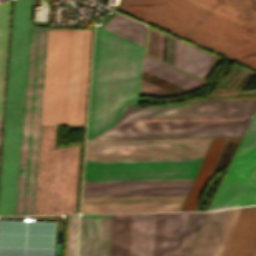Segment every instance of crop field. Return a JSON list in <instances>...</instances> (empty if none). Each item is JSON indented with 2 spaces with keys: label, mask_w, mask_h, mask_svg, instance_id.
<instances>
[{
  "label": "crop field",
  "mask_w": 256,
  "mask_h": 256,
  "mask_svg": "<svg viewBox=\"0 0 256 256\" xmlns=\"http://www.w3.org/2000/svg\"><path fill=\"white\" fill-rule=\"evenodd\" d=\"M256 204V111L210 210Z\"/></svg>",
  "instance_id": "3316defc"
},
{
  "label": "crop field",
  "mask_w": 256,
  "mask_h": 256,
  "mask_svg": "<svg viewBox=\"0 0 256 256\" xmlns=\"http://www.w3.org/2000/svg\"><path fill=\"white\" fill-rule=\"evenodd\" d=\"M227 139L228 138H214L213 139V141L207 151V154L203 160V163L200 167V170H199L180 210H192L193 209L199 195L203 191L204 187L206 186V184L212 174V171L217 163V160L223 150V147H224Z\"/></svg>",
  "instance_id": "d9b57169"
},
{
  "label": "crop field",
  "mask_w": 256,
  "mask_h": 256,
  "mask_svg": "<svg viewBox=\"0 0 256 256\" xmlns=\"http://www.w3.org/2000/svg\"><path fill=\"white\" fill-rule=\"evenodd\" d=\"M78 215H69L66 256H75Z\"/></svg>",
  "instance_id": "dafd665d"
},
{
  "label": "crop field",
  "mask_w": 256,
  "mask_h": 256,
  "mask_svg": "<svg viewBox=\"0 0 256 256\" xmlns=\"http://www.w3.org/2000/svg\"><path fill=\"white\" fill-rule=\"evenodd\" d=\"M54 129L41 123L34 214L74 213L79 146L53 150Z\"/></svg>",
  "instance_id": "e52e79f7"
},
{
  "label": "crop field",
  "mask_w": 256,
  "mask_h": 256,
  "mask_svg": "<svg viewBox=\"0 0 256 256\" xmlns=\"http://www.w3.org/2000/svg\"><path fill=\"white\" fill-rule=\"evenodd\" d=\"M143 47L96 26L87 139L139 102Z\"/></svg>",
  "instance_id": "34b2d1b8"
},
{
  "label": "crop field",
  "mask_w": 256,
  "mask_h": 256,
  "mask_svg": "<svg viewBox=\"0 0 256 256\" xmlns=\"http://www.w3.org/2000/svg\"><path fill=\"white\" fill-rule=\"evenodd\" d=\"M120 10L256 70V0H124Z\"/></svg>",
  "instance_id": "8a807250"
},
{
  "label": "crop field",
  "mask_w": 256,
  "mask_h": 256,
  "mask_svg": "<svg viewBox=\"0 0 256 256\" xmlns=\"http://www.w3.org/2000/svg\"><path fill=\"white\" fill-rule=\"evenodd\" d=\"M142 68L171 82L194 91L200 80L143 55Z\"/></svg>",
  "instance_id": "bc2a9ffb"
},
{
  "label": "crop field",
  "mask_w": 256,
  "mask_h": 256,
  "mask_svg": "<svg viewBox=\"0 0 256 256\" xmlns=\"http://www.w3.org/2000/svg\"><path fill=\"white\" fill-rule=\"evenodd\" d=\"M191 180L84 182L82 197L185 195Z\"/></svg>",
  "instance_id": "22f410ed"
},
{
  "label": "crop field",
  "mask_w": 256,
  "mask_h": 256,
  "mask_svg": "<svg viewBox=\"0 0 256 256\" xmlns=\"http://www.w3.org/2000/svg\"><path fill=\"white\" fill-rule=\"evenodd\" d=\"M103 28L143 46L145 26L133 19L116 13Z\"/></svg>",
  "instance_id": "92a150f3"
},
{
  "label": "crop field",
  "mask_w": 256,
  "mask_h": 256,
  "mask_svg": "<svg viewBox=\"0 0 256 256\" xmlns=\"http://www.w3.org/2000/svg\"><path fill=\"white\" fill-rule=\"evenodd\" d=\"M184 197L82 198L81 213L178 211Z\"/></svg>",
  "instance_id": "cbeb9de0"
},
{
  "label": "crop field",
  "mask_w": 256,
  "mask_h": 256,
  "mask_svg": "<svg viewBox=\"0 0 256 256\" xmlns=\"http://www.w3.org/2000/svg\"><path fill=\"white\" fill-rule=\"evenodd\" d=\"M46 35L30 29L15 214H33Z\"/></svg>",
  "instance_id": "dd49c442"
},
{
  "label": "crop field",
  "mask_w": 256,
  "mask_h": 256,
  "mask_svg": "<svg viewBox=\"0 0 256 256\" xmlns=\"http://www.w3.org/2000/svg\"><path fill=\"white\" fill-rule=\"evenodd\" d=\"M91 36L48 28L41 122L85 124Z\"/></svg>",
  "instance_id": "412701ff"
},
{
  "label": "crop field",
  "mask_w": 256,
  "mask_h": 256,
  "mask_svg": "<svg viewBox=\"0 0 256 256\" xmlns=\"http://www.w3.org/2000/svg\"><path fill=\"white\" fill-rule=\"evenodd\" d=\"M31 0H15L0 176V215L14 214Z\"/></svg>",
  "instance_id": "f4fd0767"
},
{
  "label": "crop field",
  "mask_w": 256,
  "mask_h": 256,
  "mask_svg": "<svg viewBox=\"0 0 256 256\" xmlns=\"http://www.w3.org/2000/svg\"><path fill=\"white\" fill-rule=\"evenodd\" d=\"M132 214H112L109 256H129Z\"/></svg>",
  "instance_id": "733c2abd"
},
{
  "label": "crop field",
  "mask_w": 256,
  "mask_h": 256,
  "mask_svg": "<svg viewBox=\"0 0 256 256\" xmlns=\"http://www.w3.org/2000/svg\"><path fill=\"white\" fill-rule=\"evenodd\" d=\"M110 214L81 215L78 256H107Z\"/></svg>",
  "instance_id": "5142ce71"
},
{
  "label": "crop field",
  "mask_w": 256,
  "mask_h": 256,
  "mask_svg": "<svg viewBox=\"0 0 256 256\" xmlns=\"http://www.w3.org/2000/svg\"><path fill=\"white\" fill-rule=\"evenodd\" d=\"M241 208L227 210L209 256H222ZM256 246V206L242 208L223 256H252Z\"/></svg>",
  "instance_id": "d1516ede"
},
{
  "label": "crop field",
  "mask_w": 256,
  "mask_h": 256,
  "mask_svg": "<svg viewBox=\"0 0 256 256\" xmlns=\"http://www.w3.org/2000/svg\"><path fill=\"white\" fill-rule=\"evenodd\" d=\"M253 256H256V249H255V251H254V254H253Z\"/></svg>",
  "instance_id": "00972430"
},
{
  "label": "crop field",
  "mask_w": 256,
  "mask_h": 256,
  "mask_svg": "<svg viewBox=\"0 0 256 256\" xmlns=\"http://www.w3.org/2000/svg\"><path fill=\"white\" fill-rule=\"evenodd\" d=\"M201 158L85 160L84 181L192 178Z\"/></svg>",
  "instance_id": "d8731c3e"
},
{
  "label": "crop field",
  "mask_w": 256,
  "mask_h": 256,
  "mask_svg": "<svg viewBox=\"0 0 256 256\" xmlns=\"http://www.w3.org/2000/svg\"><path fill=\"white\" fill-rule=\"evenodd\" d=\"M206 213H157L154 256H188Z\"/></svg>",
  "instance_id": "28ad6ade"
},
{
  "label": "crop field",
  "mask_w": 256,
  "mask_h": 256,
  "mask_svg": "<svg viewBox=\"0 0 256 256\" xmlns=\"http://www.w3.org/2000/svg\"><path fill=\"white\" fill-rule=\"evenodd\" d=\"M11 1L0 4V133Z\"/></svg>",
  "instance_id": "214f88e0"
},
{
  "label": "crop field",
  "mask_w": 256,
  "mask_h": 256,
  "mask_svg": "<svg viewBox=\"0 0 256 256\" xmlns=\"http://www.w3.org/2000/svg\"><path fill=\"white\" fill-rule=\"evenodd\" d=\"M211 138L87 141L85 159L202 157Z\"/></svg>",
  "instance_id": "5a996713"
},
{
  "label": "crop field",
  "mask_w": 256,
  "mask_h": 256,
  "mask_svg": "<svg viewBox=\"0 0 256 256\" xmlns=\"http://www.w3.org/2000/svg\"><path fill=\"white\" fill-rule=\"evenodd\" d=\"M225 211L208 212L190 256H208Z\"/></svg>",
  "instance_id": "4a817a6b"
},
{
  "label": "crop field",
  "mask_w": 256,
  "mask_h": 256,
  "mask_svg": "<svg viewBox=\"0 0 256 256\" xmlns=\"http://www.w3.org/2000/svg\"><path fill=\"white\" fill-rule=\"evenodd\" d=\"M256 99L192 101L191 107L126 108L117 124L249 122ZM248 123L115 125L94 139L242 136Z\"/></svg>",
  "instance_id": "ac0d7876"
}]
</instances>
